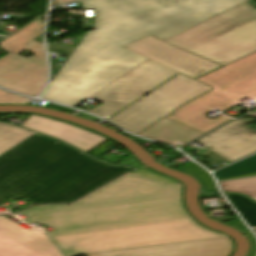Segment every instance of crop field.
Segmentation results:
<instances>
[{
  "label": "crop field",
  "mask_w": 256,
  "mask_h": 256,
  "mask_svg": "<svg viewBox=\"0 0 256 256\" xmlns=\"http://www.w3.org/2000/svg\"><path fill=\"white\" fill-rule=\"evenodd\" d=\"M249 117H256V112L251 114V115H248Z\"/></svg>",
  "instance_id": "30"
},
{
  "label": "crop field",
  "mask_w": 256,
  "mask_h": 256,
  "mask_svg": "<svg viewBox=\"0 0 256 256\" xmlns=\"http://www.w3.org/2000/svg\"><path fill=\"white\" fill-rule=\"evenodd\" d=\"M82 8H95L94 30L42 96L72 107L147 59L122 46L150 34L164 40L204 21L194 0L173 7L165 0H83Z\"/></svg>",
  "instance_id": "2"
},
{
  "label": "crop field",
  "mask_w": 256,
  "mask_h": 256,
  "mask_svg": "<svg viewBox=\"0 0 256 256\" xmlns=\"http://www.w3.org/2000/svg\"><path fill=\"white\" fill-rule=\"evenodd\" d=\"M44 107L58 109V110L65 111V112H68L71 110V109L56 105V104L49 103V102H47V104Z\"/></svg>",
  "instance_id": "24"
},
{
  "label": "crop field",
  "mask_w": 256,
  "mask_h": 256,
  "mask_svg": "<svg viewBox=\"0 0 256 256\" xmlns=\"http://www.w3.org/2000/svg\"><path fill=\"white\" fill-rule=\"evenodd\" d=\"M250 227L256 226V203L241 195H226Z\"/></svg>",
  "instance_id": "17"
},
{
  "label": "crop field",
  "mask_w": 256,
  "mask_h": 256,
  "mask_svg": "<svg viewBox=\"0 0 256 256\" xmlns=\"http://www.w3.org/2000/svg\"><path fill=\"white\" fill-rule=\"evenodd\" d=\"M249 256H256V254H254V253H249Z\"/></svg>",
  "instance_id": "31"
},
{
  "label": "crop field",
  "mask_w": 256,
  "mask_h": 256,
  "mask_svg": "<svg viewBox=\"0 0 256 256\" xmlns=\"http://www.w3.org/2000/svg\"><path fill=\"white\" fill-rule=\"evenodd\" d=\"M183 0H168L169 5L173 6ZM205 19L234 7L246 0H195Z\"/></svg>",
  "instance_id": "15"
},
{
  "label": "crop field",
  "mask_w": 256,
  "mask_h": 256,
  "mask_svg": "<svg viewBox=\"0 0 256 256\" xmlns=\"http://www.w3.org/2000/svg\"><path fill=\"white\" fill-rule=\"evenodd\" d=\"M254 229V231L256 232V228H253Z\"/></svg>",
  "instance_id": "32"
},
{
  "label": "crop field",
  "mask_w": 256,
  "mask_h": 256,
  "mask_svg": "<svg viewBox=\"0 0 256 256\" xmlns=\"http://www.w3.org/2000/svg\"><path fill=\"white\" fill-rule=\"evenodd\" d=\"M30 135H31V134H30ZM30 135H29V136H30ZM27 137H28V136H27ZM27 137H26V138H27ZM26 138H24V139H26ZM24 139H23V140H24ZM23 140H21V141H23ZM21 141H20V142H21ZM20 142H18V143H20ZM18 143H17V144H18ZM17 144H15V145H17ZM15 145H14V146H15ZM12 147H13V146H12ZM12 147H11V148H12ZM9 149H10V148H9ZM9 149H8V150H9ZM6 151H7V150H6ZM6 151H5V152H6ZM3 153H4V152H3ZM3 153H2V154H3ZM0 155H1V154H0Z\"/></svg>",
  "instance_id": "29"
},
{
  "label": "crop field",
  "mask_w": 256,
  "mask_h": 256,
  "mask_svg": "<svg viewBox=\"0 0 256 256\" xmlns=\"http://www.w3.org/2000/svg\"><path fill=\"white\" fill-rule=\"evenodd\" d=\"M232 251L233 243L227 237L90 254L87 256H229Z\"/></svg>",
  "instance_id": "12"
},
{
  "label": "crop field",
  "mask_w": 256,
  "mask_h": 256,
  "mask_svg": "<svg viewBox=\"0 0 256 256\" xmlns=\"http://www.w3.org/2000/svg\"><path fill=\"white\" fill-rule=\"evenodd\" d=\"M138 135L168 144H185L203 134L165 118Z\"/></svg>",
  "instance_id": "14"
},
{
  "label": "crop field",
  "mask_w": 256,
  "mask_h": 256,
  "mask_svg": "<svg viewBox=\"0 0 256 256\" xmlns=\"http://www.w3.org/2000/svg\"><path fill=\"white\" fill-rule=\"evenodd\" d=\"M219 184L224 193L235 192L245 194L256 202V177L219 182Z\"/></svg>",
  "instance_id": "16"
},
{
  "label": "crop field",
  "mask_w": 256,
  "mask_h": 256,
  "mask_svg": "<svg viewBox=\"0 0 256 256\" xmlns=\"http://www.w3.org/2000/svg\"><path fill=\"white\" fill-rule=\"evenodd\" d=\"M74 46L62 45V44H48V50L69 53L72 54Z\"/></svg>",
  "instance_id": "23"
},
{
  "label": "crop field",
  "mask_w": 256,
  "mask_h": 256,
  "mask_svg": "<svg viewBox=\"0 0 256 256\" xmlns=\"http://www.w3.org/2000/svg\"><path fill=\"white\" fill-rule=\"evenodd\" d=\"M176 73L148 59L89 97L103 102L90 112L109 118Z\"/></svg>",
  "instance_id": "8"
},
{
  "label": "crop field",
  "mask_w": 256,
  "mask_h": 256,
  "mask_svg": "<svg viewBox=\"0 0 256 256\" xmlns=\"http://www.w3.org/2000/svg\"><path fill=\"white\" fill-rule=\"evenodd\" d=\"M42 25L43 22L37 20L0 43V47L10 53L0 59V86L30 96H36L42 90L47 75L43 44L31 40L41 34ZM24 49L36 57L18 56Z\"/></svg>",
  "instance_id": "6"
},
{
  "label": "crop field",
  "mask_w": 256,
  "mask_h": 256,
  "mask_svg": "<svg viewBox=\"0 0 256 256\" xmlns=\"http://www.w3.org/2000/svg\"><path fill=\"white\" fill-rule=\"evenodd\" d=\"M0 256H64L46 233L0 216Z\"/></svg>",
  "instance_id": "10"
},
{
  "label": "crop field",
  "mask_w": 256,
  "mask_h": 256,
  "mask_svg": "<svg viewBox=\"0 0 256 256\" xmlns=\"http://www.w3.org/2000/svg\"><path fill=\"white\" fill-rule=\"evenodd\" d=\"M76 3H77L78 5L72 6V7H69V8H81L82 0H81V1H77ZM56 8H61V7L59 6V7H56Z\"/></svg>",
  "instance_id": "25"
},
{
  "label": "crop field",
  "mask_w": 256,
  "mask_h": 256,
  "mask_svg": "<svg viewBox=\"0 0 256 256\" xmlns=\"http://www.w3.org/2000/svg\"><path fill=\"white\" fill-rule=\"evenodd\" d=\"M19 214L29 224L52 228L47 234L65 256L227 237L191 218L182 184L131 173L71 206H39Z\"/></svg>",
  "instance_id": "1"
},
{
  "label": "crop field",
  "mask_w": 256,
  "mask_h": 256,
  "mask_svg": "<svg viewBox=\"0 0 256 256\" xmlns=\"http://www.w3.org/2000/svg\"><path fill=\"white\" fill-rule=\"evenodd\" d=\"M29 98L18 96L0 89V104H22L25 105Z\"/></svg>",
  "instance_id": "21"
},
{
  "label": "crop field",
  "mask_w": 256,
  "mask_h": 256,
  "mask_svg": "<svg viewBox=\"0 0 256 256\" xmlns=\"http://www.w3.org/2000/svg\"><path fill=\"white\" fill-rule=\"evenodd\" d=\"M70 1H74V0H55L56 5L61 4V3H65V2H70Z\"/></svg>",
  "instance_id": "26"
},
{
  "label": "crop field",
  "mask_w": 256,
  "mask_h": 256,
  "mask_svg": "<svg viewBox=\"0 0 256 256\" xmlns=\"http://www.w3.org/2000/svg\"><path fill=\"white\" fill-rule=\"evenodd\" d=\"M123 134H124V133H123ZM125 135H127V134H125ZM127 136H129V135H127ZM129 137H131L132 139H134V140H136V141H138V142H140V143L145 142V141H143V140L137 139V138L132 137V136H129Z\"/></svg>",
  "instance_id": "28"
},
{
  "label": "crop field",
  "mask_w": 256,
  "mask_h": 256,
  "mask_svg": "<svg viewBox=\"0 0 256 256\" xmlns=\"http://www.w3.org/2000/svg\"><path fill=\"white\" fill-rule=\"evenodd\" d=\"M224 223L240 230L241 232H243L245 234H247L250 241H251V245H252V249H251L250 252H256V240L252 236V234L249 232V230L245 227V225L241 222L240 219L233 220V221H228V222H224Z\"/></svg>",
  "instance_id": "22"
},
{
  "label": "crop field",
  "mask_w": 256,
  "mask_h": 256,
  "mask_svg": "<svg viewBox=\"0 0 256 256\" xmlns=\"http://www.w3.org/2000/svg\"><path fill=\"white\" fill-rule=\"evenodd\" d=\"M250 175H256V173H251V174H246V175H241V176H236V177H231V178L244 177V176H250ZM226 179H230V178H226ZM221 180H223V179H221Z\"/></svg>",
  "instance_id": "27"
},
{
  "label": "crop field",
  "mask_w": 256,
  "mask_h": 256,
  "mask_svg": "<svg viewBox=\"0 0 256 256\" xmlns=\"http://www.w3.org/2000/svg\"><path fill=\"white\" fill-rule=\"evenodd\" d=\"M196 80L213 89L176 109L167 118L205 134L231 119L220 116L211 120L204 113L212 109L223 111L245 96L256 101V52Z\"/></svg>",
  "instance_id": "5"
},
{
  "label": "crop field",
  "mask_w": 256,
  "mask_h": 256,
  "mask_svg": "<svg viewBox=\"0 0 256 256\" xmlns=\"http://www.w3.org/2000/svg\"><path fill=\"white\" fill-rule=\"evenodd\" d=\"M31 132L0 123V153L29 135Z\"/></svg>",
  "instance_id": "18"
},
{
  "label": "crop field",
  "mask_w": 256,
  "mask_h": 256,
  "mask_svg": "<svg viewBox=\"0 0 256 256\" xmlns=\"http://www.w3.org/2000/svg\"><path fill=\"white\" fill-rule=\"evenodd\" d=\"M254 119L241 118L228 123L196 142L232 162L256 152V130L245 126Z\"/></svg>",
  "instance_id": "11"
},
{
  "label": "crop field",
  "mask_w": 256,
  "mask_h": 256,
  "mask_svg": "<svg viewBox=\"0 0 256 256\" xmlns=\"http://www.w3.org/2000/svg\"><path fill=\"white\" fill-rule=\"evenodd\" d=\"M165 41L226 65L256 51V10L244 2Z\"/></svg>",
  "instance_id": "4"
},
{
  "label": "crop field",
  "mask_w": 256,
  "mask_h": 256,
  "mask_svg": "<svg viewBox=\"0 0 256 256\" xmlns=\"http://www.w3.org/2000/svg\"><path fill=\"white\" fill-rule=\"evenodd\" d=\"M130 169L34 133L0 156V202L16 195L33 204L69 203Z\"/></svg>",
  "instance_id": "3"
},
{
  "label": "crop field",
  "mask_w": 256,
  "mask_h": 256,
  "mask_svg": "<svg viewBox=\"0 0 256 256\" xmlns=\"http://www.w3.org/2000/svg\"><path fill=\"white\" fill-rule=\"evenodd\" d=\"M178 169L186 173H189L191 175H194L197 178H199L201 181H203L205 192L219 193V191L215 186L212 176L208 174L202 167L190 162Z\"/></svg>",
  "instance_id": "20"
},
{
  "label": "crop field",
  "mask_w": 256,
  "mask_h": 256,
  "mask_svg": "<svg viewBox=\"0 0 256 256\" xmlns=\"http://www.w3.org/2000/svg\"><path fill=\"white\" fill-rule=\"evenodd\" d=\"M22 127L60 139L85 152L107 139L95 132L73 124L34 115H31Z\"/></svg>",
  "instance_id": "13"
},
{
  "label": "crop field",
  "mask_w": 256,
  "mask_h": 256,
  "mask_svg": "<svg viewBox=\"0 0 256 256\" xmlns=\"http://www.w3.org/2000/svg\"><path fill=\"white\" fill-rule=\"evenodd\" d=\"M125 48L153 59L191 78H195L220 66L161 42L151 36L129 44Z\"/></svg>",
  "instance_id": "9"
},
{
  "label": "crop field",
  "mask_w": 256,
  "mask_h": 256,
  "mask_svg": "<svg viewBox=\"0 0 256 256\" xmlns=\"http://www.w3.org/2000/svg\"><path fill=\"white\" fill-rule=\"evenodd\" d=\"M210 89L204 84L179 75L109 120L137 134L176 107Z\"/></svg>",
  "instance_id": "7"
},
{
  "label": "crop field",
  "mask_w": 256,
  "mask_h": 256,
  "mask_svg": "<svg viewBox=\"0 0 256 256\" xmlns=\"http://www.w3.org/2000/svg\"><path fill=\"white\" fill-rule=\"evenodd\" d=\"M256 172V155L230 167L214 172L218 179Z\"/></svg>",
  "instance_id": "19"
}]
</instances>
